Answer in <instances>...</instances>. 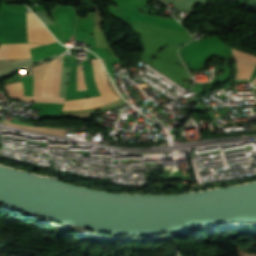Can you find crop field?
Instances as JSON below:
<instances>
[{
	"mask_svg": "<svg viewBox=\"0 0 256 256\" xmlns=\"http://www.w3.org/2000/svg\"><path fill=\"white\" fill-rule=\"evenodd\" d=\"M102 104L103 103L100 97L79 99V100H73V101H66L63 110L87 108V107H93V106H98Z\"/></svg>",
	"mask_w": 256,
	"mask_h": 256,
	"instance_id": "dd49c442",
	"label": "crop field"
},
{
	"mask_svg": "<svg viewBox=\"0 0 256 256\" xmlns=\"http://www.w3.org/2000/svg\"><path fill=\"white\" fill-rule=\"evenodd\" d=\"M62 62H63V55L59 56L57 59L53 98L40 97L42 74L47 63L41 64L37 67L32 68L33 97L24 96L23 86L21 82L4 86L9 97L12 99L25 100V101L63 103L64 98H58Z\"/></svg>",
	"mask_w": 256,
	"mask_h": 256,
	"instance_id": "8a807250",
	"label": "crop field"
},
{
	"mask_svg": "<svg viewBox=\"0 0 256 256\" xmlns=\"http://www.w3.org/2000/svg\"><path fill=\"white\" fill-rule=\"evenodd\" d=\"M28 42L47 44L55 42V39L45 29V27L31 14H27Z\"/></svg>",
	"mask_w": 256,
	"mask_h": 256,
	"instance_id": "ac0d7876",
	"label": "crop field"
},
{
	"mask_svg": "<svg viewBox=\"0 0 256 256\" xmlns=\"http://www.w3.org/2000/svg\"><path fill=\"white\" fill-rule=\"evenodd\" d=\"M86 89L83 81L82 66H77V90Z\"/></svg>",
	"mask_w": 256,
	"mask_h": 256,
	"instance_id": "d8731c3e",
	"label": "crop field"
},
{
	"mask_svg": "<svg viewBox=\"0 0 256 256\" xmlns=\"http://www.w3.org/2000/svg\"><path fill=\"white\" fill-rule=\"evenodd\" d=\"M255 85H256V78L255 79H253V81H252Z\"/></svg>",
	"mask_w": 256,
	"mask_h": 256,
	"instance_id": "5a996713",
	"label": "crop field"
},
{
	"mask_svg": "<svg viewBox=\"0 0 256 256\" xmlns=\"http://www.w3.org/2000/svg\"><path fill=\"white\" fill-rule=\"evenodd\" d=\"M3 123L17 127V128H21V129H26V130H31V131H36V132H41V133H46V134H52V135H57V136H62V137H64L65 131H66V130H62V129L14 124V123L6 122V121H3Z\"/></svg>",
	"mask_w": 256,
	"mask_h": 256,
	"instance_id": "e52e79f7",
	"label": "crop field"
},
{
	"mask_svg": "<svg viewBox=\"0 0 256 256\" xmlns=\"http://www.w3.org/2000/svg\"><path fill=\"white\" fill-rule=\"evenodd\" d=\"M56 59L52 60L45 70L41 96L52 97Z\"/></svg>",
	"mask_w": 256,
	"mask_h": 256,
	"instance_id": "f4fd0767",
	"label": "crop field"
},
{
	"mask_svg": "<svg viewBox=\"0 0 256 256\" xmlns=\"http://www.w3.org/2000/svg\"><path fill=\"white\" fill-rule=\"evenodd\" d=\"M39 45L34 44H3L0 45V59L31 57L28 48Z\"/></svg>",
	"mask_w": 256,
	"mask_h": 256,
	"instance_id": "34b2d1b8",
	"label": "crop field"
},
{
	"mask_svg": "<svg viewBox=\"0 0 256 256\" xmlns=\"http://www.w3.org/2000/svg\"><path fill=\"white\" fill-rule=\"evenodd\" d=\"M238 65H239V74L236 79H249L252 73L254 64L256 62V56L247 54L242 51H237L236 53Z\"/></svg>",
	"mask_w": 256,
	"mask_h": 256,
	"instance_id": "412701ff",
	"label": "crop field"
}]
</instances>
